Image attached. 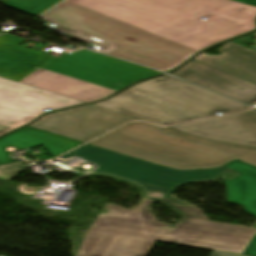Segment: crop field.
<instances>
[{"mask_svg":"<svg viewBox=\"0 0 256 256\" xmlns=\"http://www.w3.org/2000/svg\"><path fill=\"white\" fill-rule=\"evenodd\" d=\"M39 19L103 53L168 72L256 30V0H66Z\"/></svg>","mask_w":256,"mask_h":256,"instance_id":"obj_1","label":"crop field"},{"mask_svg":"<svg viewBox=\"0 0 256 256\" xmlns=\"http://www.w3.org/2000/svg\"><path fill=\"white\" fill-rule=\"evenodd\" d=\"M23 41L0 37V77L84 102L105 98L139 80L161 74L85 49L58 57L19 46Z\"/></svg>","mask_w":256,"mask_h":256,"instance_id":"obj_2","label":"crop field"},{"mask_svg":"<svg viewBox=\"0 0 256 256\" xmlns=\"http://www.w3.org/2000/svg\"><path fill=\"white\" fill-rule=\"evenodd\" d=\"M186 134L132 122L88 144L175 169L213 168L235 158L256 166V147L204 140Z\"/></svg>","mask_w":256,"mask_h":256,"instance_id":"obj_3","label":"crop field"},{"mask_svg":"<svg viewBox=\"0 0 256 256\" xmlns=\"http://www.w3.org/2000/svg\"><path fill=\"white\" fill-rule=\"evenodd\" d=\"M141 204L134 210L108 205L85 235L76 256H148L173 231L163 228Z\"/></svg>","mask_w":256,"mask_h":256,"instance_id":"obj_4","label":"crop field"},{"mask_svg":"<svg viewBox=\"0 0 256 256\" xmlns=\"http://www.w3.org/2000/svg\"><path fill=\"white\" fill-rule=\"evenodd\" d=\"M83 158L98 166L89 173L118 178L138 186L145 196L143 203L154 199H167L182 184L190 182H212L226 167L201 171H175L151 163L85 145L61 158L71 156Z\"/></svg>","mask_w":256,"mask_h":256,"instance_id":"obj_5","label":"crop field"},{"mask_svg":"<svg viewBox=\"0 0 256 256\" xmlns=\"http://www.w3.org/2000/svg\"><path fill=\"white\" fill-rule=\"evenodd\" d=\"M79 103L83 102L0 78V135L29 123L43 109Z\"/></svg>","mask_w":256,"mask_h":256,"instance_id":"obj_6","label":"crop field"},{"mask_svg":"<svg viewBox=\"0 0 256 256\" xmlns=\"http://www.w3.org/2000/svg\"><path fill=\"white\" fill-rule=\"evenodd\" d=\"M135 119L137 118L87 104L47 114L29 126L86 142Z\"/></svg>","mask_w":256,"mask_h":256,"instance_id":"obj_7","label":"crop field"},{"mask_svg":"<svg viewBox=\"0 0 256 256\" xmlns=\"http://www.w3.org/2000/svg\"><path fill=\"white\" fill-rule=\"evenodd\" d=\"M92 104L160 125L209 117L132 87L110 99Z\"/></svg>","mask_w":256,"mask_h":256,"instance_id":"obj_8","label":"crop field"},{"mask_svg":"<svg viewBox=\"0 0 256 256\" xmlns=\"http://www.w3.org/2000/svg\"><path fill=\"white\" fill-rule=\"evenodd\" d=\"M132 87L210 116H215L218 111L229 113L249 109L207 90L166 75L142 81Z\"/></svg>","mask_w":256,"mask_h":256,"instance_id":"obj_9","label":"crop field"},{"mask_svg":"<svg viewBox=\"0 0 256 256\" xmlns=\"http://www.w3.org/2000/svg\"><path fill=\"white\" fill-rule=\"evenodd\" d=\"M168 128L200 138L256 146L254 111Z\"/></svg>","mask_w":256,"mask_h":256,"instance_id":"obj_10","label":"crop field"},{"mask_svg":"<svg viewBox=\"0 0 256 256\" xmlns=\"http://www.w3.org/2000/svg\"><path fill=\"white\" fill-rule=\"evenodd\" d=\"M171 74L249 105L256 99V84L194 60Z\"/></svg>","mask_w":256,"mask_h":256,"instance_id":"obj_11","label":"crop field"},{"mask_svg":"<svg viewBox=\"0 0 256 256\" xmlns=\"http://www.w3.org/2000/svg\"><path fill=\"white\" fill-rule=\"evenodd\" d=\"M255 232V228L232 226L187 218L186 222L178 223L175 226L174 232L169 234L165 239L182 237L185 239L247 247Z\"/></svg>","mask_w":256,"mask_h":256,"instance_id":"obj_12","label":"crop field"},{"mask_svg":"<svg viewBox=\"0 0 256 256\" xmlns=\"http://www.w3.org/2000/svg\"><path fill=\"white\" fill-rule=\"evenodd\" d=\"M82 143L62 138L40 130L25 127L0 138V165L12 163L6 147L14 146L17 150L41 145L54 158Z\"/></svg>","mask_w":256,"mask_h":256,"instance_id":"obj_13","label":"crop field"},{"mask_svg":"<svg viewBox=\"0 0 256 256\" xmlns=\"http://www.w3.org/2000/svg\"><path fill=\"white\" fill-rule=\"evenodd\" d=\"M225 166L240 173L226 181L228 203L244 205L243 210L256 217V167L237 160ZM243 254L256 256V234Z\"/></svg>","mask_w":256,"mask_h":256,"instance_id":"obj_14","label":"crop field"},{"mask_svg":"<svg viewBox=\"0 0 256 256\" xmlns=\"http://www.w3.org/2000/svg\"><path fill=\"white\" fill-rule=\"evenodd\" d=\"M218 51L221 56L200 54L194 60L256 83V52L232 42Z\"/></svg>","mask_w":256,"mask_h":256,"instance_id":"obj_15","label":"crop field"},{"mask_svg":"<svg viewBox=\"0 0 256 256\" xmlns=\"http://www.w3.org/2000/svg\"><path fill=\"white\" fill-rule=\"evenodd\" d=\"M165 243L175 242L176 244L210 249V250H217V251H224V252H232V253H239L242 254L245 250V247L239 246H232V245H224V244H217V243H210V242H202V241H195V240H185L181 238H174L163 240Z\"/></svg>","mask_w":256,"mask_h":256,"instance_id":"obj_16","label":"crop field"},{"mask_svg":"<svg viewBox=\"0 0 256 256\" xmlns=\"http://www.w3.org/2000/svg\"><path fill=\"white\" fill-rule=\"evenodd\" d=\"M164 203H166L168 206H170L172 209L180 213L183 217L188 218H194V219H200V220H206L204 214L201 210L186 204L184 202H181L177 199H174L172 197L168 198L167 200H160Z\"/></svg>","mask_w":256,"mask_h":256,"instance_id":"obj_17","label":"crop field"},{"mask_svg":"<svg viewBox=\"0 0 256 256\" xmlns=\"http://www.w3.org/2000/svg\"><path fill=\"white\" fill-rule=\"evenodd\" d=\"M38 11H45L60 0H11Z\"/></svg>","mask_w":256,"mask_h":256,"instance_id":"obj_18","label":"crop field"},{"mask_svg":"<svg viewBox=\"0 0 256 256\" xmlns=\"http://www.w3.org/2000/svg\"><path fill=\"white\" fill-rule=\"evenodd\" d=\"M0 169L3 170L5 173H7L12 178H14L28 168L26 166H24L22 163H19V164H15V165L1 167Z\"/></svg>","mask_w":256,"mask_h":256,"instance_id":"obj_19","label":"crop field"},{"mask_svg":"<svg viewBox=\"0 0 256 256\" xmlns=\"http://www.w3.org/2000/svg\"><path fill=\"white\" fill-rule=\"evenodd\" d=\"M211 256H244V255L213 251Z\"/></svg>","mask_w":256,"mask_h":256,"instance_id":"obj_20","label":"crop field"},{"mask_svg":"<svg viewBox=\"0 0 256 256\" xmlns=\"http://www.w3.org/2000/svg\"><path fill=\"white\" fill-rule=\"evenodd\" d=\"M0 179H2V180H11L12 178H10L8 175H6L4 172H2L0 170Z\"/></svg>","mask_w":256,"mask_h":256,"instance_id":"obj_21","label":"crop field"},{"mask_svg":"<svg viewBox=\"0 0 256 256\" xmlns=\"http://www.w3.org/2000/svg\"><path fill=\"white\" fill-rule=\"evenodd\" d=\"M256 35V33H254Z\"/></svg>","mask_w":256,"mask_h":256,"instance_id":"obj_22","label":"crop field"}]
</instances>
